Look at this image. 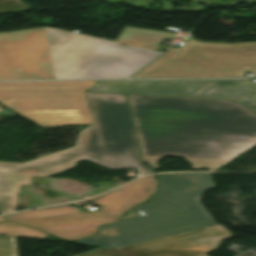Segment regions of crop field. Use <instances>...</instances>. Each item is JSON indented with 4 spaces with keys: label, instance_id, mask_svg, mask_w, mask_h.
I'll use <instances>...</instances> for the list:
<instances>
[{
    "label": "crop field",
    "instance_id": "4",
    "mask_svg": "<svg viewBox=\"0 0 256 256\" xmlns=\"http://www.w3.org/2000/svg\"><path fill=\"white\" fill-rule=\"evenodd\" d=\"M160 189L152 200L127 213L142 210L147 215L102 226L96 237L78 243L117 248L217 224L199 202L215 188L209 174L158 175Z\"/></svg>",
    "mask_w": 256,
    "mask_h": 256
},
{
    "label": "crop field",
    "instance_id": "8",
    "mask_svg": "<svg viewBox=\"0 0 256 256\" xmlns=\"http://www.w3.org/2000/svg\"><path fill=\"white\" fill-rule=\"evenodd\" d=\"M232 236L234 234L220 224L128 247L95 250L105 256H207L204 253L217 249L222 240ZM76 256L101 255L89 251Z\"/></svg>",
    "mask_w": 256,
    "mask_h": 256
},
{
    "label": "crop field",
    "instance_id": "10",
    "mask_svg": "<svg viewBox=\"0 0 256 256\" xmlns=\"http://www.w3.org/2000/svg\"><path fill=\"white\" fill-rule=\"evenodd\" d=\"M156 190L155 177L149 176L131 182L95 201L100 210L121 216L129 207L147 200Z\"/></svg>",
    "mask_w": 256,
    "mask_h": 256
},
{
    "label": "crop field",
    "instance_id": "12",
    "mask_svg": "<svg viewBox=\"0 0 256 256\" xmlns=\"http://www.w3.org/2000/svg\"><path fill=\"white\" fill-rule=\"evenodd\" d=\"M0 234L57 241L53 239V237H50L49 235H47L42 231L30 229V228H27L12 222H8V221L0 223ZM57 242H60V241H57Z\"/></svg>",
    "mask_w": 256,
    "mask_h": 256
},
{
    "label": "crop field",
    "instance_id": "6",
    "mask_svg": "<svg viewBox=\"0 0 256 256\" xmlns=\"http://www.w3.org/2000/svg\"><path fill=\"white\" fill-rule=\"evenodd\" d=\"M98 82L0 83V103L43 127L93 124L84 91Z\"/></svg>",
    "mask_w": 256,
    "mask_h": 256
},
{
    "label": "crop field",
    "instance_id": "7",
    "mask_svg": "<svg viewBox=\"0 0 256 256\" xmlns=\"http://www.w3.org/2000/svg\"><path fill=\"white\" fill-rule=\"evenodd\" d=\"M88 91L234 100L256 114V84L249 79L196 81H101Z\"/></svg>",
    "mask_w": 256,
    "mask_h": 256
},
{
    "label": "crop field",
    "instance_id": "5",
    "mask_svg": "<svg viewBox=\"0 0 256 256\" xmlns=\"http://www.w3.org/2000/svg\"><path fill=\"white\" fill-rule=\"evenodd\" d=\"M256 76V42L224 44L189 38L170 48L132 78H216Z\"/></svg>",
    "mask_w": 256,
    "mask_h": 256
},
{
    "label": "crop field",
    "instance_id": "2",
    "mask_svg": "<svg viewBox=\"0 0 256 256\" xmlns=\"http://www.w3.org/2000/svg\"><path fill=\"white\" fill-rule=\"evenodd\" d=\"M161 53L38 28L0 33V80L127 78Z\"/></svg>",
    "mask_w": 256,
    "mask_h": 256
},
{
    "label": "crop field",
    "instance_id": "15",
    "mask_svg": "<svg viewBox=\"0 0 256 256\" xmlns=\"http://www.w3.org/2000/svg\"><path fill=\"white\" fill-rule=\"evenodd\" d=\"M0 221H4V218H3V217H0Z\"/></svg>",
    "mask_w": 256,
    "mask_h": 256
},
{
    "label": "crop field",
    "instance_id": "9",
    "mask_svg": "<svg viewBox=\"0 0 256 256\" xmlns=\"http://www.w3.org/2000/svg\"><path fill=\"white\" fill-rule=\"evenodd\" d=\"M6 218L67 240L95 235L98 225L119 219L102 212L82 213L73 207L24 212Z\"/></svg>",
    "mask_w": 256,
    "mask_h": 256
},
{
    "label": "crop field",
    "instance_id": "14",
    "mask_svg": "<svg viewBox=\"0 0 256 256\" xmlns=\"http://www.w3.org/2000/svg\"><path fill=\"white\" fill-rule=\"evenodd\" d=\"M32 9L22 0H0V13Z\"/></svg>",
    "mask_w": 256,
    "mask_h": 256
},
{
    "label": "crop field",
    "instance_id": "13",
    "mask_svg": "<svg viewBox=\"0 0 256 256\" xmlns=\"http://www.w3.org/2000/svg\"><path fill=\"white\" fill-rule=\"evenodd\" d=\"M0 256H18L16 237L0 235Z\"/></svg>",
    "mask_w": 256,
    "mask_h": 256
},
{
    "label": "crop field",
    "instance_id": "11",
    "mask_svg": "<svg viewBox=\"0 0 256 256\" xmlns=\"http://www.w3.org/2000/svg\"><path fill=\"white\" fill-rule=\"evenodd\" d=\"M176 33L125 27L116 41L156 50L164 40H172Z\"/></svg>",
    "mask_w": 256,
    "mask_h": 256
},
{
    "label": "crop field",
    "instance_id": "1",
    "mask_svg": "<svg viewBox=\"0 0 256 256\" xmlns=\"http://www.w3.org/2000/svg\"><path fill=\"white\" fill-rule=\"evenodd\" d=\"M128 97L142 161L153 169L162 156L214 168L256 144V115L233 101Z\"/></svg>",
    "mask_w": 256,
    "mask_h": 256
},
{
    "label": "crop field",
    "instance_id": "3",
    "mask_svg": "<svg viewBox=\"0 0 256 256\" xmlns=\"http://www.w3.org/2000/svg\"><path fill=\"white\" fill-rule=\"evenodd\" d=\"M94 125L81 131L71 148L26 162H0V213L16 211L21 184L31 176H49L86 159L110 169L137 167L139 175L153 173L140 161L126 95L85 92Z\"/></svg>",
    "mask_w": 256,
    "mask_h": 256
}]
</instances>
